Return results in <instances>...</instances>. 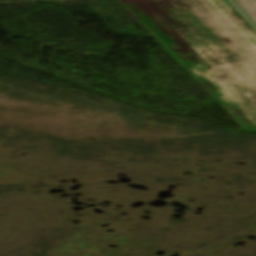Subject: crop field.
<instances>
[{
  "instance_id": "crop-field-1",
  "label": "crop field",
  "mask_w": 256,
  "mask_h": 256,
  "mask_svg": "<svg viewBox=\"0 0 256 256\" xmlns=\"http://www.w3.org/2000/svg\"><path fill=\"white\" fill-rule=\"evenodd\" d=\"M256 72V49L208 0H186Z\"/></svg>"
},
{
  "instance_id": "crop-field-2",
  "label": "crop field",
  "mask_w": 256,
  "mask_h": 256,
  "mask_svg": "<svg viewBox=\"0 0 256 256\" xmlns=\"http://www.w3.org/2000/svg\"><path fill=\"white\" fill-rule=\"evenodd\" d=\"M256 24V0H233Z\"/></svg>"
}]
</instances>
